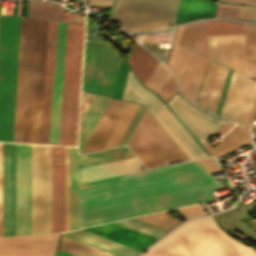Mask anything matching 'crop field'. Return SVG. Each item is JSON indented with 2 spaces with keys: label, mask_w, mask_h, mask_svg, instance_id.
<instances>
[{
  "label": "crop field",
  "mask_w": 256,
  "mask_h": 256,
  "mask_svg": "<svg viewBox=\"0 0 256 256\" xmlns=\"http://www.w3.org/2000/svg\"><path fill=\"white\" fill-rule=\"evenodd\" d=\"M225 188L196 160L78 185V228L212 199Z\"/></svg>",
  "instance_id": "8a807250"
},
{
  "label": "crop field",
  "mask_w": 256,
  "mask_h": 256,
  "mask_svg": "<svg viewBox=\"0 0 256 256\" xmlns=\"http://www.w3.org/2000/svg\"><path fill=\"white\" fill-rule=\"evenodd\" d=\"M46 28L21 18L13 142L39 143Z\"/></svg>",
  "instance_id": "ac0d7876"
},
{
  "label": "crop field",
  "mask_w": 256,
  "mask_h": 256,
  "mask_svg": "<svg viewBox=\"0 0 256 256\" xmlns=\"http://www.w3.org/2000/svg\"><path fill=\"white\" fill-rule=\"evenodd\" d=\"M65 231V147L52 146V232ZM51 232V146L32 145V234Z\"/></svg>",
  "instance_id": "34b2d1b8"
},
{
  "label": "crop field",
  "mask_w": 256,
  "mask_h": 256,
  "mask_svg": "<svg viewBox=\"0 0 256 256\" xmlns=\"http://www.w3.org/2000/svg\"><path fill=\"white\" fill-rule=\"evenodd\" d=\"M236 241L209 216L180 225L140 256H256L255 249Z\"/></svg>",
  "instance_id": "412701ff"
},
{
  "label": "crop field",
  "mask_w": 256,
  "mask_h": 256,
  "mask_svg": "<svg viewBox=\"0 0 256 256\" xmlns=\"http://www.w3.org/2000/svg\"><path fill=\"white\" fill-rule=\"evenodd\" d=\"M84 24L67 23L59 145L76 146Z\"/></svg>",
  "instance_id": "f4fd0767"
},
{
  "label": "crop field",
  "mask_w": 256,
  "mask_h": 256,
  "mask_svg": "<svg viewBox=\"0 0 256 256\" xmlns=\"http://www.w3.org/2000/svg\"><path fill=\"white\" fill-rule=\"evenodd\" d=\"M20 18L0 16V141L12 142Z\"/></svg>",
  "instance_id": "dd49c442"
},
{
  "label": "crop field",
  "mask_w": 256,
  "mask_h": 256,
  "mask_svg": "<svg viewBox=\"0 0 256 256\" xmlns=\"http://www.w3.org/2000/svg\"><path fill=\"white\" fill-rule=\"evenodd\" d=\"M122 99L138 103L147 109L189 160L208 156L206 151L167 108L168 106L166 107L161 101L162 99L160 98V100L155 93L146 89L130 70L128 71Z\"/></svg>",
  "instance_id": "e52e79f7"
},
{
  "label": "crop field",
  "mask_w": 256,
  "mask_h": 256,
  "mask_svg": "<svg viewBox=\"0 0 256 256\" xmlns=\"http://www.w3.org/2000/svg\"><path fill=\"white\" fill-rule=\"evenodd\" d=\"M179 0H116L112 21L123 30L150 31L173 24Z\"/></svg>",
  "instance_id": "d8731c3e"
},
{
  "label": "crop field",
  "mask_w": 256,
  "mask_h": 256,
  "mask_svg": "<svg viewBox=\"0 0 256 256\" xmlns=\"http://www.w3.org/2000/svg\"><path fill=\"white\" fill-rule=\"evenodd\" d=\"M120 62L105 42L86 41L82 89L112 97Z\"/></svg>",
  "instance_id": "5a996713"
},
{
  "label": "crop field",
  "mask_w": 256,
  "mask_h": 256,
  "mask_svg": "<svg viewBox=\"0 0 256 256\" xmlns=\"http://www.w3.org/2000/svg\"><path fill=\"white\" fill-rule=\"evenodd\" d=\"M31 234V145L16 144V235Z\"/></svg>",
  "instance_id": "3316defc"
},
{
  "label": "crop field",
  "mask_w": 256,
  "mask_h": 256,
  "mask_svg": "<svg viewBox=\"0 0 256 256\" xmlns=\"http://www.w3.org/2000/svg\"><path fill=\"white\" fill-rule=\"evenodd\" d=\"M203 145L225 121L191 105L177 93L166 102Z\"/></svg>",
  "instance_id": "28ad6ade"
},
{
  "label": "crop field",
  "mask_w": 256,
  "mask_h": 256,
  "mask_svg": "<svg viewBox=\"0 0 256 256\" xmlns=\"http://www.w3.org/2000/svg\"><path fill=\"white\" fill-rule=\"evenodd\" d=\"M255 91V81L234 71L220 115L246 124Z\"/></svg>",
  "instance_id": "d1516ede"
},
{
  "label": "crop field",
  "mask_w": 256,
  "mask_h": 256,
  "mask_svg": "<svg viewBox=\"0 0 256 256\" xmlns=\"http://www.w3.org/2000/svg\"><path fill=\"white\" fill-rule=\"evenodd\" d=\"M60 233L0 237V256H53Z\"/></svg>",
  "instance_id": "22f410ed"
},
{
  "label": "crop field",
  "mask_w": 256,
  "mask_h": 256,
  "mask_svg": "<svg viewBox=\"0 0 256 256\" xmlns=\"http://www.w3.org/2000/svg\"><path fill=\"white\" fill-rule=\"evenodd\" d=\"M3 236L15 235V144L2 143Z\"/></svg>",
  "instance_id": "cbeb9de0"
},
{
  "label": "crop field",
  "mask_w": 256,
  "mask_h": 256,
  "mask_svg": "<svg viewBox=\"0 0 256 256\" xmlns=\"http://www.w3.org/2000/svg\"><path fill=\"white\" fill-rule=\"evenodd\" d=\"M207 35L243 34L242 23L206 21ZM228 67L247 76L243 35H225Z\"/></svg>",
  "instance_id": "5142ce71"
},
{
  "label": "crop field",
  "mask_w": 256,
  "mask_h": 256,
  "mask_svg": "<svg viewBox=\"0 0 256 256\" xmlns=\"http://www.w3.org/2000/svg\"><path fill=\"white\" fill-rule=\"evenodd\" d=\"M206 60V58L178 46L172 69L178 77L182 93L191 101H194Z\"/></svg>",
  "instance_id": "d9b57169"
},
{
  "label": "crop field",
  "mask_w": 256,
  "mask_h": 256,
  "mask_svg": "<svg viewBox=\"0 0 256 256\" xmlns=\"http://www.w3.org/2000/svg\"><path fill=\"white\" fill-rule=\"evenodd\" d=\"M57 22L48 21L40 143L49 144Z\"/></svg>",
  "instance_id": "733c2abd"
},
{
  "label": "crop field",
  "mask_w": 256,
  "mask_h": 256,
  "mask_svg": "<svg viewBox=\"0 0 256 256\" xmlns=\"http://www.w3.org/2000/svg\"><path fill=\"white\" fill-rule=\"evenodd\" d=\"M227 70L208 59L194 102L215 112Z\"/></svg>",
  "instance_id": "4a817a6b"
},
{
  "label": "crop field",
  "mask_w": 256,
  "mask_h": 256,
  "mask_svg": "<svg viewBox=\"0 0 256 256\" xmlns=\"http://www.w3.org/2000/svg\"><path fill=\"white\" fill-rule=\"evenodd\" d=\"M66 23L58 22L50 144L58 145Z\"/></svg>",
  "instance_id": "bc2a9ffb"
},
{
  "label": "crop field",
  "mask_w": 256,
  "mask_h": 256,
  "mask_svg": "<svg viewBox=\"0 0 256 256\" xmlns=\"http://www.w3.org/2000/svg\"><path fill=\"white\" fill-rule=\"evenodd\" d=\"M140 162L135 158L108 162L78 169V184L122 174L141 171Z\"/></svg>",
  "instance_id": "214f88e0"
},
{
  "label": "crop field",
  "mask_w": 256,
  "mask_h": 256,
  "mask_svg": "<svg viewBox=\"0 0 256 256\" xmlns=\"http://www.w3.org/2000/svg\"><path fill=\"white\" fill-rule=\"evenodd\" d=\"M95 227H99L96 229ZM90 232L111 239L138 251L148 246L155 238L117 225L113 222L84 228Z\"/></svg>",
  "instance_id": "92a150f3"
},
{
  "label": "crop field",
  "mask_w": 256,
  "mask_h": 256,
  "mask_svg": "<svg viewBox=\"0 0 256 256\" xmlns=\"http://www.w3.org/2000/svg\"><path fill=\"white\" fill-rule=\"evenodd\" d=\"M126 102L111 98L83 153L102 149Z\"/></svg>",
  "instance_id": "dafd665d"
},
{
  "label": "crop field",
  "mask_w": 256,
  "mask_h": 256,
  "mask_svg": "<svg viewBox=\"0 0 256 256\" xmlns=\"http://www.w3.org/2000/svg\"><path fill=\"white\" fill-rule=\"evenodd\" d=\"M63 236L113 256H134L138 251L110 241L83 229L62 233Z\"/></svg>",
  "instance_id": "00972430"
},
{
  "label": "crop field",
  "mask_w": 256,
  "mask_h": 256,
  "mask_svg": "<svg viewBox=\"0 0 256 256\" xmlns=\"http://www.w3.org/2000/svg\"><path fill=\"white\" fill-rule=\"evenodd\" d=\"M110 98L95 94L79 124L78 151L81 154Z\"/></svg>",
  "instance_id": "a9b5d70f"
},
{
  "label": "crop field",
  "mask_w": 256,
  "mask_h": 256,
  "mask_svg": "<svg viewBox=\"0 0 256 256\" xmlns=\"http://www.w3.org/2000/svg\"><path fill=\"white\" fill-rule=\"evenodd\" d=\"M215 4L209 0H180L173 25L191 19L212 17Z\"/></svg>",
  "instance_id": "4177f3b9"
},
{
  "label": "crop field",
  "mask_w": 256,
  "mask_h": 256,
  "mask_svg": "<svg viewBox=\"0 0 256 256\" xmlns=\"http://www.w3.org/2000/svg\"><path fill=\"white\" fill-rule=\"evenodd\" d=\"M179 43L208 57L205 21L185 25Z\"/></svg>",
  "instance_id": "730fd06b"
},
{
  "label": "crop field",
  "mask_w": 256,
  "mask_h": 256,
  "mask_svg": "<svg viewBox=\"0 0 256 256\" xmlns=\"http://www.w3.org/2000/svg\"><path fill=\"white\" fill-rule=\"evenodd\" d=\"M127 61L144 84L159 62L138 44Z\"/></svg>",
  "instance_id": "eef30255"
},
{
  "label": "crop field",
  "mask_w": 256,
  "mask_h": 256,
  "mask_svg": "<svg viewBox=\"0 0 256 256\" xmlns=\"http://www.w3.org/2000/svg\"><path fill=\"white\" fill-rule=\"evenodd\" d=\"M77 228V151L70 147V230Z\"/></svg>",
  "instance_id": "ae1a2a85"
},
{
  "label": "crop field",
  "mask_w": 256,
  "mask_h": 256,
  "mask_svg": "<svg viewBox=\"0 0 256 256\" xmlns=\"http://www.w3.org/2000/svg\"><path fill=\"white\" fill-rule=\"evenodd\" d=\"M137 107L138 105L127 102L103 149L117 146Z\"/></svg>",
  "instance_id": "d3111659"
},
{
  "label": "crop field",
  "mask_w": 256,
  "mask_h": 256,
  "mask_svg": "<svg viewBox=\"0 0 256 256\" xmlns=\"http://www.w3.org/2000/svg\"><path fill=\"white\" fill-rule=\"evenodd\" d=\"M248 76L256 77V25L243 23Z\"/></svg>",
  "instance_id": "750c4746"
},
{
  "label": "crop field",
  "mask_w": 256,
  "mask_h": 256,
  "mask_svg": "<svg viewBox=\"0 0 256 256\" xmlns=\"http://www.w3.org/2000/svg\"><path fill=\"white\" fill-rule=\"evenodd\" d=\"M61 251L74 256H110L62 236Z\"/></svg>",
  "instance_id": "bd1437ed"
},
{
  "label": "crop field",
  "mask_w": 256,
  "mask_h": 256,
  "mask_svg": "<svg viewBox=\"0 0 256 256\" xmlns=\"http://www.w3.org/2000/svg\"><path fill=\"white\" fill-rule=\"evenodd\" d=\"M209 58L227 66L224 35L207 36Z\"/></svg>",
  "instance_id": "1d83c4d3"
},
{
  "label": "crop field",
  "mask_w": 256,
  "mask_h": 256,
  "mask_svg": "<svg viewBox=\"0 0 256 256\" xmlns=\"http://www.w3.org/2000/svg\"><path fill=\"white\" fill-rule=\"evenodd\" d=\"M116 222L156 238H158L159 236H161L163 233L167 231L135 218L116 221Z\"/></svg>",
  "instance_id": "120bbe31"
},
{
  "label": "crop field",
  "mask_w": 256,
  "mask_h": 256,
  "mask_svg": "<svg viewBox=\"0 0 256 256\" xmlns=\"http://www.w3.org/2000/svg\"><path fill=\"white\" fill-rule=\"evenodd\" d=\"M251 142L247 128L243 127L229 142H227L213 157L217 158L230 151L240 148Z\"/></svg>",
  "instance_id": "d32e631a"
},
{
  "label": "crop field",
  "mask_w": 256,
  "mask_h": 256,
  "mask_svg": "<svg viewBox=\"0 0 256 256\" xmlns=\"http://www.w3.org/2000/svg\"><path fill=\"white\" fill-rule=\"evenodd\" d=\"M137 218L144 220L146 222L152 223L154 225H157L159 227L165 228L167 230L172 228L177 223L181 222L180 220L170 217L161 212H157V213H153V214H149V215H145Z\"/></svg>",
  "instance_id": "5866460e"
},
{
  "label": "crop field",
  "mask_w": 256,
  "mask_h": 256,
  "mask_svg": "<svg viewBox=\"0 0 256 256\" xmlns=\"http://www.w3.org/2000/svg\"><path fill=\"white\" fill-rule=\"evenodd\" d=\"M169 69L159 62L152 75L148 79L145 85L152 88L153 90H159L161 84L163 83Z\"/></svg>",
  "instance_id": "028f5c9d"
},
{
  "label": "crop field",
  "mask_w": 256,
  "mask_h": 256,
  "mask_svg": "<svg viewBox=\"0 0 256 256\" xmlns=\"http://www.w3.org/2000/svg\"><path fill=\"white\" fill-rule=\"evenodd\" d=\"M176 90L177 83L172 73L169 72L167 78L165 79L158 93L162 96L163 100L166 101L174 92H176Z\"/></svg>",
  "instance_id": "e1f06a70"
},
{
  "label": "crop field",
  "mask_w": 256,
  "mask_h": 256,
  "mask_svg": "<svg viewBox=\"0 0 256 256\" xmlns=\"http://www.w3.org/2000/svg\"><path fill=\"white\" fill-rule=\"evenodd\" d=\"M240 6L218 3L215 17L237 18Z\"/></svg>",
  "instance_id": "0bd39190"
},
{
  "label": "crop field",
  "mask_w": 256,
  "mask_h": 256,
  "mask_svg": "<svg viewBox=\"0 0 256 256\" xmlns=\"http://www.w3.org/2000/svg\"><path fill=\"white\" fill-rule=\"evenodd\" d=\"M128 71V66L125 62H121L119 74H118V79L114 91L113 97L121 99L122 93H123V88L126 80V75Z\"/></svg>",
  "instance_id": "b80d0937"
},
{
  "label": "crop field",
  "mask_w": 256,
  "mask_h": 256,
  "mask_svg": "<svg viewBox=\"0 0 256 256\" xmlns=\"http://www.w3.org/2000/svg\"><path fill=\"white\" fill-rule=\"evenodd\" d=\"M242 126L236 124L223 138L222 140L213 148L208 142L203 146L207 151L213 156L227 141H229L240 129Z\"/></svg>",
  "instance_id": "c035e120"
},
{
  "label": "crop field",
  "mask_w": 256,
  "mask_h": 256,
  "mask_svg": "<svg viewBox=\"0 0 256 256\" xmlns=\"http://www.w3.org/2000/svg\"><path fill=\"white\" fill-rule=\"evenodd\" d=\"M69 230V147H66V231Z\"/></svg>",
  "instance_id": "c21b1889"
},
{
  "label": "crop field",
  "mask_w": 256,
  "mask_h": 256,
  "mask_svg": "<svg viewBox=\"0 0 256 256\" xmlns=\"http://www.w3.org/2000/svg\"><path fill=\"white\" fill-rule=\"evenodd\" d=\"M42 1L30 0L28 17L41 18Z\"/></svg>",
  "instance_id": "03da06ac"
},
{
  "label": "crop field",
  "mask_w": 256,
  "mask_h": 256,
  "mask_svg": "<svg viewBox=\"0 0 256 256\" xmlns=\"http://www.w3.org/2000/svg\"><path fill=\"white\" fill-rule=\"evenodd\" d=\"M184 216L186 219L194 217V216H198V215H202V213H200L194 205L191 206H186V207H181V208H177ZM175 210V209H173ZM171 211V210H169ZM169 211H163L164 213L169 212Z\"/></svg>",
  "instance_id": "b54c1fbb"
},
{
  "label": "crop field",
  "mask_w": 256,
  "mask_h": 256,
  "mask_svg": "<svg viewBox=\"0 0 256 256\" xmlns=\"http://www.w3.org/2000/svg\"><path fill=\"white\" fill-rule=\"evenodd\" d=\"M94 94L93 93H88V92H84L82 91V97H81V108H80V119L79 122L83 116V114L85 113L88 105L90 104L92 98H93Z\"/></svg>",
  "instance_id": "5d738f31"
},
{
  "label": "crop field",
  "mask_w": 256,
  "mask_h": 256,
  "mask_svg": "<svg viewBox=\"0 0 256 256\" xmlns=\"http://www.w3.org/2000/svg\"><path fill=\"white\" fill-rule=\"evenodd\" d=\"M64 7L51 2L50 19L63 20Z\"/></svg>",
  "instance_id": "d23c7cc5"
},
{
  "label": "crop field",
  "mask_w": 256,
  "mask_h": 256,
  "mask_svg": "<svg viewBox=\"0 0 256 256\" xmlns=\"http://www.w3.org/2000/svg\"><path fill=\"white\" fill-rule=\"evenodd\" d=\"M254 7L241 6L237 19L249 20L252 19Z\"/></svg>",
  "instance_id": "425ffa30"
},
{
  "label": "crop field",
  "mask_w": 256,
  "mask_h": 256,
  "mask_svg": "<svg viewBox=\"0 0 256 256\" xmlns=\"http://www.w3.org/2000/svg\"><path fill=\"white\" fill-rule=\"evenodd\" d=\"M183 26H180L178 28V31H177V35H176V38H175V41H174V45H173V48H172V51H171V54H170V57H169V60H168V63H167V65L170 66V67H172V63H173L174 56H175V53H176V50H177V46H178V42H179V39H180V36H181Z\"/></svg>",
  "instance_id": "25e5ab78"
},
{
  "label": "crop field",
  "mask_w": 256,
  "mask_h": 256,
  "mask_svg": "<svg viewBox=\"0 0 256 256\" xmlns=\"http://www.w3.org/2000/svg\"><path fill=\"white\" fill-rule=\"evenodd\" d=\"M207 164H209L215 171L222 169L218 164L213 162L209 157L202 158ZM204 168H206L209 172H213L208 166H206L200 159L197 160Z\"/></svg>",
  "instance_id": "73cf0c24"
},
{
  "label": "crop field",
  "mask_w": 256,
  "mask_h": 256,
  "mask_svg": "<svg viewBox=\"0 0 256 256\" xmlns=\"http://www.w3.org/2000/svg\"><path fill=\"white\" fill-rule=\"evenodd\" d=\"M112 0H89V7L111 6Z\"/></svg>",
  "instance_id": "89e229c0"
},
{
  "label": "crop field",
  "mask_w": 256,
  "mask_h": 256,
  "mask_svg": "<svg viewBox=\"0 0 256 256\" xmlns=\"http://www.w3.org/2000/svg\"><path fill=\"white\" fill-rule=\"evenodd\" d=\"M0 236H2L1 143H0Z\"/></svg>",
  "instance_id": "1f2cbd36"
},
{
  "label": "crop field",
  "mask_w": 256,
  "mask_h": 256,
  "mask_svg": "<svg viewBox=\"0 0 256 256\" xmlns=\"http://www.w3.org/2000/svg\"><path fill=\"white\" fill-rule=\"evenodd\" d=\"M255 108H256V94H255L254 101H253L251 111H250V114H249V117H248V121H247V124H246L249 127L251 126V122H252V119H253Z\"/></svg>",
  "instance_id": "dbb93151"
},
{
  "label": "crop field",
  "mask_w": 256,
  "mask_h": 256,
  "mask_svg": "<svg viewBox=\"0 0 256 256\" xmlns=\"http://www.w3.org/2000/svg\"><path fill=\"white\" fill-rule=\"evenodd\" d=\"M50 2H43L42 18L49 19Z\"/></svg>",
  "instance_id": "0fb4a251"
},
{
  "label": "crop field",
  "mask_w": 256,
  "mask_h": 256,
  "mask_svg": "<svg viewBox=\"0 0 256 256\" xmlns=\"http://www.w3.org/2000/svg\"><path fill=\"white\" fill-rule=\"evenodd\" d=\"M232 125L233 123L226 122L215 134L217 135L224 134Z\"/></svg>",
  "instance_id": "1d79db26"
},
{
  "label": "crop field",
  "mask_w": 256,
  "mask_h": 256,
  "mask_svg": "<svg viewBox=\"0 0 256 256\" xmlns=\"http://www.w3.org/2000/svg\"><path fill=\"white\" fill-rule=\"evenodd\" d=\"M72 21H75V22H84V17L78 16V15H74V14H73Z\"/></svg>",
  "instance_id": "9d1cf04e"
},
{
  "label": "crop field",
  "mask_w": 256,
  "mask_h": 256,
  "mask_svg": "<svg viewBox=\"0 0 256 256\" xmlns=\"http://www.w3.org/2000/svg\"><path fill=\"white\" fill-rule=\"evenodd\" d=\"M71 17H72V14H71V13H69V14H64V20L71 21Z\"/></svg>",
  "instance_id": "447ae74e"
},
{
  "label": "crop field",
  "mask_w": 256,
  "mask_h": 256,
  "mask_svg": "<svg viewBox=\"0 0 256 256\" xmlns=\"http://www.w3.org/2000/svg\"><path fill=\"white\" fill-rule=\"evenodd\" d=\"M55 256H71V255L59 251Z\"/></svg>",
  "instance_id": "0765c3eb"
},
{
  "label": "crop field",
  "mask_w": 256,
  "mask_h": 256,
  "mask_svg": "<svg viewBox=\"0 0 256 256\" xmlns=\"http://www.w3.org/2000/svg\"><path fill=\"white\" fill-rule=\"evenodd\" d=\"M252 21L256 22V7H255V9H254V14H253V19H252Z\"/></svg>",
  "instance_id": "db79e9e6"
},
{
  "label": "crop field",
  "mask_w": 256,
  "mask_h": 256,
  "mask_svg": "<svg viewBox=\"0 0 256 256\" xmlns=\"http://www.w3.org/2000/svg\"><path fill=\"white\" fill-rule=\"evenodd\" d=\"M228 1H233V2H243V3H245V2H246V0H228Z\"/></svg>",
  "instance_id": "7b73153f"
},
{
  "label": "crop field",
  "mask_w": 256,
  "mask_h": 256,
  "mask_svg": "<svg viewBox=\"0 0 256 256\" xmlns=\"http://www.w3.org/2000/svg\"><path fill=\"white\" fill-rule=\"evenodd\" d=\"M246 3H252V4H256V0H247Z\"/></svg>",
  "instance_id": "78b8030e"
},
{
  "label": "crop field",
  "mask_w": 256,
  "mask_h": 256,
  "mask_svg": "<svg viewBox=\"0 0 256 256\" xmlns=\"http://www.w3.org/2000/svg\"><path fill=\"white\" fill-rule=\"evenodd\" d=\"M195 206L203 213V214H205L201 209V207L198 205V204H195Z\"/></svg>",
  "instance_id": "0f1d7ab4"
}]
</instances>
